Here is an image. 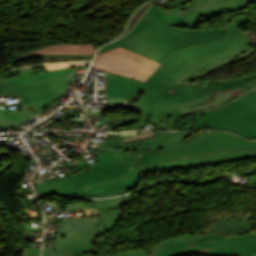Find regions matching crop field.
Wrapping results in <instances>:
<instances>
[{
  "instance_id": "obj_1",
  "label": "crop field",
  "mask_w": 256,
  "mask_h": 256,
  "mask_svg": "<svg viewBox=\"0 0 256 256\" xmlns=\"http://www.w3.org/2000/svg\"><path fill=\"white\" fill-rule=\"evenodd\" d=\"M227 37L171 54L129 101L142 105L143 118L108 124V129L141 128L148 122L157 125L155 130L172 129L184 114L223 104L255 88L256 73L220 82L189 84L254 53L256 41L253 43L235 22L227 25Z\"/></svg>"
},
{
  "instance_id": "obj_2",
  "label": "crop field",
  "mask_w": 256,
  "mask_h": 256,
  "mask_svg": "<svg viewBox=\"0 0 256 256\" xmlns=\"http://www.w3.org/2000/svg\"><path fill=\"white\" fill-rule=\"evenodd\" d=\"M97 146L122 148V154L113 153L114 162L135 163L121 178L256 158V141L228 132H136L130 138H109Z\"/></svg>"
},
{
  "instance_id": "obj_3",
  "label": "crop field",
  "mask_w": 256,
  "mask_h": 256,
  "mask_svg": "<svg viewBox=\"0 0 256 256\" xmlns=\"http://www.w3.org/2000/svg\"><path fill=\"white\" fill-rule=\"evenodd\" d=\"M99 166L38 184L39 193L49 197H102L121 195L135 189L139 175L118 180L133 164L113 163L112 153L99 151ZM96 171V173H95Z\"/></svg>"
},
{
  "instance_id": "obj_4",
  "label": "crop field",
  "mask_w": 256,
  "mask_h": 256,
  "mask_svg": "<svg viewBox=\"0 0 256 256\" xmlns=\"http://www.w3.org/2000/svg\"><path fill=\"white\" fill-rule=\"evenodd\" d=\"M222 38H226V26L209 30H192L169 27L157 22L119 46L162 63L172 52L180 48Z\"/></svg>"
},
{
  "instance_id": "obj_5",
  "label": "crop field",
  "mask_w": 256,
  "mask_h": 256,
  "mask_svg": "<svg viewBox=\"0 0 256 256\" xmlns=\"http://www.w3.org/2000/svg\"><path fill=\"white\" fill-rule=\"evenodd\" d=\"M153 256H249L256 254V233L225 238L222 235L174 237L153 247ZM112 256H148L142 250Z\"/></svg>"
},
{
  "instance_id": "obj_6",
  "label": "crop field",
  "mask_w": 256,
  "mask_h": 256,
  "mask_svg": "<svg viewBox=\"0 0 256 256\" xmlns=\"http://www.w3.org/2000/svg\"><path fill=\"white\" fill-rule=\"evenodd\" d=\"M71 78L70 76H63L7 86L6 78L0 77V93L11 99L18 98L20 105L28 106L38 112L63 94ZM36 115L35 112L26 108L7 113L0 106V129L10 127L11 124L12 126L20 125Z\"/></svg>"
},
{
  "instance_id": "obj_7",
  "label": "crop field",
  "mask_w": 256,
  "mask_h": 256,
  "mask_svg": "<svg viewBox=\"0 0 256 256\" xmlns=\"http://www.w3.org/2000/svg\"><path fill=\"white\" fill-rule=\"evenodd\" d=\"M196 117L199 129L220 128L256 138V91L224 107L196 114Z\"/></svg>"
},
{
  "instance_id": "obj_8",
  "label": "crop field",
  "mask_w": 256,
  "mask_h": 256,
  "mask_svg": "<svg viewBox=\"0 0 256 256\" xmlns=\"http://www.w3.org/2000/svg\"><path fill=\"white\" fill-rule=\"evenodd\" d=\"M158 65L157 62L119 47L97 55L93 67L145 81Z\"/></svg>"
},
{
  "instance_id": "obj_9",
  "label": "crop field",
  "mask_w": 256,
  "mask_h": 256,
  "mask_svg": "<svg viewBox=\"0 0 256 256\" xmlns=\"http://www.w3.org/2000/svg\"><path fill=\"white\" fill-rule=\"evenodd\" d=\"M184 3H186L185 0H173L169 3L162 5L170 10L168 12H165L152 4L147 12L143 15V17L125 37L106 45L101 49L100 52L119 45L123 41L140 33L157 21L168 24L170 26L197 29L198 23L185 17Z\"/></svg>"
},
{
  "instance_id": "obj_10",
  "label": "crop field",
  "mask_w": 256,
  "mask_h": 256,
  "mask_svg": "<svg viewBox=\"0 0 256 256\" xmlns=\"http://www.w3.org/2000/svg\"><path fill=\"white\" fill-rule=\"evenodd\" d=\"M121 214V207L114 208L109 222L94 234L91 230L84 232H66L61 243L64 256H80L87 252L94 251V244L97 237L106 235L113 230L118 224Z\"/></svg>"
},
{
  "instance_id": "obj_11",
  "label": "crop field",
  "mask_w": 256,
  "mask_h": 256,
  "mask_svg": "<svg viewBox=\"0 0 256 256\" xmlns=\"http://www.w3.org/2000/svg\"><path fill=\"white\" fill-rule=\"evenodd\" d=\"M256 0H196L185 4V14L199 23L221 13L250 6Z\"/></svg>"
},
{
  "instance_id": "obj_12",
  "label": "crop field",
  "mask_w": 256,
  "mask_h": 256,
  "mask_svg": "<svg viewBox=\"0 0 256 256\" xmlns=\"http://www.w3.org/2000/svg\"><path fill=\"white\" fill-rule=\"evenodd\" d=\"M210 225L212 229L208 231V234H211L213 230L226 234H238L244 229L255 230L251 213L211 218Z\"/></svg>"
},
{
  "instance_id": "obj_13",
  "label": "crop field",
  "mask_w": 256,
  "mask_h": 256,
  "mask_svg": "<svg viewBox=\"0 0 256 256\" xmlns=\"http://www.w3.org/2000/svg\"><path fill=\"white\" fill-rule=\"evenodd\" d=\"M99 217L63 220L61 231L54 247H44L42 256H63L60 242L66 231H83L94 227Z\"/></svg>"
},
{
  "instance_id": "obj_14",
  "label": "crop field",
  "mask_w": 256,
  "mask_h": 256,
  "mask_svg": "<svg viewBox=\"0 0 256 256\" xmlns=\"http://www.w3.org/2000/svg\"><path fill=\"white\" fill-rule=\"evenodd\" d=\"M142 83L143 81L109 73L107 97L130 99Z\"/></svg>"
},
{
  "instance_id": "obj_15",
  "label": "crop field",
  "mask_w": 256,
  "mask_h": 256,
  "mask_svg": "<svg viewBox=\"0 0 256 256\" xmlns=\"http://www.w3.org/2000/svg\"><path fill=\"white\" fill-rule=\"evenodd\" d=\"M97 49L90 44H64L48 46L34 52L23 55L19 58L34 54H90L94 55Z\"/></svg>"
},
{
  "instance_id": "obj_16",
  "label": "crop field",
  "mask_w": 256,
  "mask_h": 256,
  "mask_svg": "<svg viewBox=\"0 0 256 256\" xmlns=\"http://www.w3.org/2000/svg\"><path fill=\"white\" fill-rule=\"evenodd\" d=\"M90 61H75V62H64V63H45L46 70L61 68V67H72L76 65L86 64Z\"/></svg>"
},
{
  "instance_id": "obj_17",
  "label": "crop field",
  "mask_w": 256,
  "mask_h": 256,
  "mask_svg": "<svg viewBox=\"0 0 256 256\" xmlns=\"http://www.w3.org/2000/svg\"><path fill=\"white\" fill-rule=\"evenodd\" d=\"M151 3L147 4L146 6H144L139 12L136 13L135 17L132 19L131 23H130V26L127 30V32L124 34L126 35L130 30L131 28L134 26L135 22L141 17V15L144 13V11L147 9V7L150 5ZM149 8V7H148ZM123 35V36H124ZM121 36V37H123ZM120 37V38H121Z\"/></svg>"
},
{
  "instance_id": "obj_18",
  "label": "crop field",
  "mask_w": 256,
  "mask_h": 256,
  "mask_svg": "<svg viewBox=\"0 0 256 256\" xmlns=\"http://www.w3.org/2000/svg\"><path fill=\"white\" fill-rule=\"evenodd\" d=\"M43 70H45V68L41 67V68H36V69H30V70H24V71L8 73V76L24 74V73H31V72H37V71H43Z\"/></svg>"
},
{
  "instance_id": "obj_19",
  "label": "crop field",
  "mask_w": 256,
  "mask_h": 256,
  "mask_svg": "<svg viewBox=\"0 0 256 256\" xmlns=\"http://www.w3.org/2000/svg\"><path fill=\"white\" fill-rule=\"evenodd\" d=\"M40 249L26 248L23 256H38Z\"/></svg>"
},
{
  "instance_id": "obj_20",
  "label": "crop field",
  "mask_w": 256,
  "mask_h": 256,
  "mask_svg": "<svg viewBox=\"0 0 256 256\" xmlns=\"http://www.w3.org/2000/svg\"><path fill=\"white\" fill-rule=\"evenodd\" d=\"M36 56H73V57H93L90 55H35V56H30V57H36ZM29 58V57H26ZM25 59V58H23Z\"/></svg>"
},
{
  "instance_id": "obj_21",
  "label": "crop field",
  "mask_w": 256,
  "mask_h": 256,
  "mask_svg": "<svg viewBox=\"0 0 256 256\" xmlns=\"http://www.w3.org/2000/svg\"><path fill=\"white\" fill-rule=\"evenodd\" d=\"M11 164H12L11 161H9V162H7V163H1V164H0V174H1L3 171L7 170Z\"/></svg>"
},
{
  "instance_id": "obj_22",
  "label": "crop field",
  "mask_w": 256,
  "mask_h": 256,
  "mask_svg": "<svg viewBox=\"0 0 256 256\" xmlns=\"http://www.w3.org/2000/svg\"><path fill=\"white\" fill-rule=\"evenodd\" d=\"M87 256H92V255H87Z\"/></svg>"
},
{
  "instance_id": "obj_23",
  "label": "crop field",
  "mask_w": 256,
  "mask_h": 256,
  "mask_svg": "<svg viewBox=\"0 0 256 256\" xmlns=\"http://www.w3.org/2000/svg\"><path fill=\"white\" fill-rule=\"evenodd\" d=\"M252 256H256V255H252Z\"/></svg>"
}]
</instances>
